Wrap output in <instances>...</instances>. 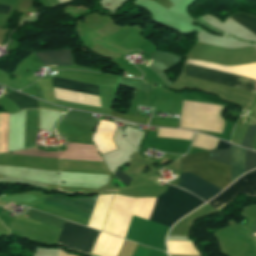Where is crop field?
<instances>
[{"label": "crop field", "instance_id": "8a807250", "mask_svg": "<svg viewBox=\"0 0 256 256\" xmlns=\"http://www.w3.org/2000/svg\"><path fill=\"white\" fill-rule=\"evenodd\" d=\"M181 166L182 172L189 171L223 189L231 183V167L220 162L210 161L208 151L186 155L181 158ZM189 172L182 173L178 187L186 189L206 201L223 190Z\"/></svg>", "mask_w": 256, "mask_h": 256}, {"label": "crop field", "instance_id": "ac0d7876", "mask_svg": "<svg viewBox=\"0 0 256 256\" xmlns=\"http://www.w3.org/2000/svg\"><path fill=\"white\" fill-rule=\"evenodd\" d=\"M204 201L171 185L155 206L150 221L171 227L179 218L185 216Z\"/></svg>", "mask_w": 256, "mask_h": 256}, {"label": "crop field", "instance_id": "34b2d1b8", "mask_svg": "<svg viewBox=\"0 0 256 256\" xmlns=\"http://www.w3.org/2000/svg\"><path fill=\"white\" fill-rule=\"evenodd\" d=\"M222 106L183 101L181 127L221 133L223 120L220 118Z\"/></svg>", "mask_w": 256, "mask_h": 256}, {"label": "crop field", "instance_id": "412701ff", "mask_svg": "<svg viewBox=\"0 0 256 256\" xmlns=\"http://www.w3.org/2000/svg\"><path fill=\"white\" fill-rule=\"evenodd\" d=\"M89 113L70 110L63 118V121L76 123L95 128L99 122L98 119L90 118ZM61 121L57 127V131L62 135V138L67 142L90 144L92 141L93 128L80 126Z\"/></svg>", "mask_w": 256, "mask_h": 256}, {"label": "crop field", "instance_id": "f4fd0767", "mask_svg": "<svg viewBox=\"0 0 256 256\" xmlns=\"http://www.w3.org/2000/svg\"><path fill=\"white\" fill-rule=\"evenodd\" d=\"M182 75L198 78L201 80L256 94V80L245 78L242 76L188 63L185 64Z\"/></svg>", "mask_w": 256, "mask_h": 256}, {"label": "crop field", "instance_id": "dd49c442", "mask_svg": "<svg viewBox=\"0 0 256 256\" xmlns=\"http://www.w3.org/2000/svg\"><path fill=\"white\" fill-rule=\"evenodd\" d=\"M99 233L65 220L56 244L89 255Z\"/></svg>", "mask_w": 256, "mask_h": 256}, {"label": "crop field", "instance_id": "e52e79f7", "mask_svg": "<svg viewBox=\"0 0 256 256\" xmlns=\"http://www.w3.org/2000/svg\"><path fill=\"white\" fill-rule=\"evenodd\" d=\"M212 160L221 161L231 166L232 145L229 149L209 151ZM245 150L233 145L231 178L234 181L244 174ZM256 168V153L246 150L245 173Z\"/></svg>", "mask_w": 256, "mask_h": 256}, {"label": "crop field", "instance_id": "d8731c3e", "mask_svg": "<svg viewBox=\"0 0 256 256\" xmlns=\"http://www.w3.org/2000/svg\"><path fill=\"white\" fill-rule=\"evenodd\" d=\"M240 194L256 196V170L242 176L208 204L218 211Z\"/></svg>", "mask_w": 256, "mask_h": 256}, {"label": "crop field", "instance_id": "5a996713", "mask_svg": "<svg viewBox=\"0 0 256 256\" xmlns=\"http://www.w3.org/2000/svg\"><path fill=\"white\" fill-rule=\"evenodd\" d=\"M56 196H59V195H56ZM96 197L97 196H94V197H91V198H82V199H77V200L84 201V202H87V203H90V204L94 205ZM47 200H50V201H53V202H56V203H59V204L65 205V206H69V207H72V208H75V209H78V210H81V211H84V212H87V213H90V214H91L92 209H93L92 207H88V206H85V205H81V204H78V203H74V202L67 201V200L60 199V198L53 197V196L47 197ZM47 200L44 201V203H43L44 205H47V206H50V207H53V208H57V209H60V210H63V211H66V212H69V213H72V214H75V215H79V216H82V217H85V218H88V219L90 217V214H87V213H84V212H81V211H78V210H75V209H72V208H68V207H65V206L47 201ZM70 200H74V199H70ZM77 200H74V201H77ZM80 201H78V202H80ZM81 203H83V202H81ZM87 203H85V204H87ZM90 204H88V205H90Z\"/></svg>", "mask_w": 256, "mask_h": 256}, {"label": "crop field", "instance_id": "3316defc", "mask_svg": "<svg viewBox=\"0 0 256 256\" xmlns=\"http://www.w3.org/2000/svg\"><path fill=\"white\" fill-rule=\"evenodd\" d=\"M115 129L116 127L114 123L111 122L101 120V122L98 124L96 132L93 136V141L100 154L117 149L112 140V135Z\"/></svg>", "mask_w": 256, "mask_h": 256}, {"label": "crop field", "instance_id": "28ad6ade", "mask_svg": "<svg viewBox=\"0 0 256 256\" xmlns=\"http://www.w3.org/2000/svg\"><path fill=\"white\" fill-rule=\"evenodd\" d=\"M149 58L153 61L152 63L151 60L149 61L148 65L151 64L148 68L154 71L167 86L170 82L163 72L180 63L181 58L161 52L150 53Z\"/></svg>", "mask_w": 256, "mask_h": 256}, {"label": "crop field", "instance_id": "d1516ede", "mask_svg": "<svg viewBox=\"0 0 256 256\" xmlns=\"http://www.w3.org/2000/svg\"><path fill=\"white\" fill-rule=\"evenodd\" d=\"M45 51H49V50H45ZM39 52H43V51H39ZM35 55L42 62L44 66L72 65V57L69 49L37 53Z\"/></svg>", "mask_w": 256, "mask_h": 256}, {"label": "crop field", "instance_id": "22f410ed", "mask_svg": "<svg viewBox=\"0 0 256 256\" xmlns=\"http://www.w3.org/2000/svg\"><path fill=\"white\" fill-rule=\"evenodd\" d=\"M39 130L38 109H25L24 149L32 147Z\"/></svg>", "mask_w": 256, "mask_h": 256}, {"label": "crop field", "instance_id": "cbeb9de0", "mask_svg": "<svg viewBox=\"0 0 256 256\" xmlns=\"http://www.w3.org/2000/svg\"><path fill=\"white\" fill-rule=\"evenodd\" d=\"M53 86L60 87V88H66L86 93H92V94H98V85L85 83L81 81L76 80H70V79H64L59 77H54L52 79Z\"/></svg>", "mask_w": 256, "mask_h": 256}, {"label": "crop field", "instance_id": "5142ce71", "mask_svg": "<svg viewBox=\"0 0 256 256\" xmlns=\"http://www.w3.org/2000/svg\"><path fill=\"white\" fill-rule=\"evenodd\" d=\"M6 97L11 99L19 107L20 110L28 107L38 108L37 100L31 97L19 94L17 92H11Z\"/></svg>", "mask_w": 256, "mask_h": 256}, {"label": "crop field", "instance_id": "d9b57169", "mask_svg": "<svg viewBox=\"0 0 256 256\" xmlns=\"http://www.w3.org/2000/svg\"><path fill=\"white\" fill-rule=\"evenodd\" d=\"M24 216H26V215H24ZM28 216H30V218H33V219H36V220H39V221H42V222L60 227V228L62 227V224H63V221H64L63 219H59V218H56V217H53V216H49V215H46V214H43V213H39V212H36L32 209L29 212ZM28 216H26V217H28Z\"/></svg>", "mask_w": 256, "mask_h": 256}, {"label": "crop field", "instance_id": "733c2abd", "mask_svg": "<svg viewBox=\"0 0 256 256\" xmlns=\"http://www.w3.org/2000/svg\"><path fill=\"white\" fill-rule=\"evenodd\" d=\"M230 18H232L256 35V18L244 14H236L231 16Z\"/></svg>", "mask_w": 256, "mask_h": 256}, {"label": "crop field", "instance_id": "4a817a6b", "mask_svg": "<svg viewBox=\"0 0 256 256\" xmlns=\"http://www.w3.org/2000/svg\"><path fill=\"white\" fill-rule=\"evenodd\" d=\"M158 136L169 137V138H179V139H192L193 133L184 130L175 129H161L159 128Z\"/></svg>", "mask_w": 256, "mask_h": 256}, {"label": "crop field", "instance_id": "bc2a9ffb", "mask_svg": "<svg viewBox=\"0 0 256 256\" xmlns=\"http://www.w3.org/2000/svg\"><path fill=\"white\" fill-rule=\"evenodd\" d=\"M217 144V139L208 137L206 135L197 134L193 146L205 149H213Z\"/></svg>", "mask_w": 256, "mask_h": 256}, {"label": "crop field", "instance_id": "214f88e0", "mask_svg": "<svg viewBox=\"0 0 256 256\" xmlns=\"http://www.w3.org/2000/svg\"><path fill=\"white\" fill-rule=\"evenodd\" d=\"M255 134H256V125L249 126V128L243 138L241 146L251 149Z\"/></svg>", "mask_w": 256, "mask_h": 256}, {"label": "crop field", "instance_id": "92a150f3", "mask_svg": "<svg viewBox=\"0 0 256 256\" xmlns=\"http://www.w3.org/2000/svg\"><path fill=\"white\" fill-rule=\"evenodd\" d=\"M120 85L130 87V88L140 89V90H148V89H153L154 88V87L149 86V85H145V84L135 82V81L124 80V79L121 80Z\"/></svg>", "mask_w": 256, "mask_h": 256}, {"label": "crop field", "instance_id": "dafd665d", "mask_svg": "<svg viewBox=\"0 0 256 256\" xmlns=\"http://www.w3.org/2000/svg\"><path fill=\"white\" fill-rule=\"evenodd\" d=\"M110 116H115V117L126 119L128 121L144 123V124H147V121L149 119V118H144V117H133V116H129V115H123V114H120V113H117L114 111L111 112Z\"/></svg>", "mask_w": 256, "mask_h": 256}, {"label": "crop field", "instance_id": "00972430", "mask_svg": "<svg viewBox=\"0 0 256 256\" xmlns=\"http://www.w3.org/2000/svg\"><path fill=\"white\" fill-rule=\"evenodd\" d=\"M150 125L178 128V122L167 120L151 119Z\"/></svg>", "mask_w": 256, "mask_h": 256}, {"label": "crop field", "instance_id": "a9b5d70f", "mask_svg": "<svg viewBox=\"0 0 256 256\" xmlns=\"http://www.w3.org/2000/svg\"><path fill=\"white\" fill-rule=\"evenodd\" d=\"M0 7L11 9L10 6H2V5H0ZM3 8H0V17H3V18L6 19V17L8 16V13L10 12V10L3 9Z\"/></svg>", "mask_w": 256, "mask_h": 256}, {"label": "crop field", "instance_id": "4177f3b9", "mask_svg": "<svg viewBox=\"0 0 256 256\" xmlns=\"http://www.w3.org/2000/svg\"><path fill=\"white\" fill-rule=\"evenodd\" d=\"M228 147H229V144H226V143L220 141L217 150H219V149H225V148H228Z\"/></svg>", "mask_w": 256, "mask_h": 256}, {"label": "crop field", "instance_id": "730fd06b", "mask_svg": "<svg viewBox=\"0 0 256 256\" xmlns=\"http://www.w3.org/2000/svg\"><path fill=\"white\" fill-rule=\"evenodd\" d=\"M69 1H71V0H69Z\"/></svg>", "mask_w": 256, "mask_h": 256}]
</instances>
